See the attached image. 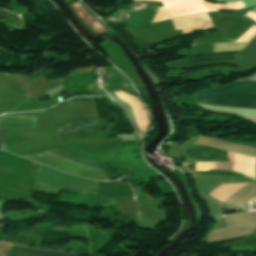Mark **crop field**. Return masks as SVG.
Returning <instances> with one entry per match:
<instances>
[{"label":"crop field","mask_w":256,"mask_h":256,"mask_svg":"<svg viewBox=\"0 0 256 256\" xmlns=\"http://www.w3.org/2000/svg\"><path fill=\"white\" fill-rule=\"evenodd\" d=\"M43 154L49 155L51 157L66 161L68 163L97 172L99 174L105 175L102 169L100 168L99 164L95 160H92L80 155H76L58 148H55ZM43 154L34 155V156H22V157L45 164L47 166L53 167L55 169L61 170L71 175L92 178V179H108L105 176L82 169L80 167L68 164L66 162L51 158Z\"/></svg>","instance_id":"1"},{"label":"crop field","mask_w":256,"mask_h":256,"mask_svg":"<svg viewBox=\"0 0 256 256\" xmlns=\"http://www.w3.org/2000/svg\"><path fill=\"white\" fill-rule=\"evenodd\" d=\"M199 103L256 108V82L239 81L231 85L194 94Z\"/></svg>","instance_id":"2"},{"label":"crop field","mask_w":256,"mask_h":256,"mask_svg":"<svg viewBox=\"0 0 256 256\" xmlns=\"http://www.w3.org/2000/svg\"><path fill=\"white\" fill-rule=\"evenodd\" d=\"M222 219L225 228L211 230L207 236L208 241L245 236L256 228V213L225 216Z\"/></svg>","instance_id":"3"},{"label":"crop field","mask_w":256,"mask_h":256,"mask_svg":"<svg viewBox=\"0 0 256 256\" xmlns=\"http://www.w3.org/2000/svg\"><path fill=\"white\" fill-rule=\"evenodd\" d=\"M35 181L49 186H65L99 190L94 181L77 178L40 165Z\"/></svg>","instance_id":"4"},{"label":"crop field","mask_w":256,"mask_h":256,"mask_svg":"<svg viewBox=\"0 0 256 256\" xmlns=\"http://www.w3.org/2000/svg\"><path fill=\"white\" fill-rule=\"evenodd\" d=\"M172 22L176 29H182L184 34L213 27L207 13L173 19Z\"/></svg>","instance_id":"5"},{"label":"crop field","mask_w":256,"mask_h":256,"mask_svg":"<svg viewBox=\"0 0 256 256\" xmlns=\"http://www.w3.org/2000/svg\"><path fill=\"white\" fill-rule=\"evenodd\" d=\"M192 144H202L206 146H211L215 148H220V149L256 157V149L229 143L223 140H216L208 137L199 136L196 140L193 141Z\"/></svg>","instance_id":"6"},{"label":"crop field","mask_w":256,"mask_h":256,"mask_svg":"<svg viewBox=\"0 0 256 256\" xmlns=\"http://www.w3.org/2000/svg\"><path fill=\"white\" fill-rule=\"evenodd\" d=\"M218 162H199L195 163L196 171H206L209 168H215ZM210 170H229L234 172H239L247 175L254 176V168L236 164L234 162H219L216 169Z\"/></svg>","instance_id":"7"},{"label":"crop field","mask_w":256,"mask_h":256,"mask_svg":"<svg viewBox=\"0 0 256 256\" xmlns=\"http://www.w3.org/2000/svg\"><path fill=\"white\" fill-rule=\"evenodd\" d=\"M256 35V26L253 25L235 42L213 44L214 52L241 50Z\"/></svg>","instance_id":"8"},{"label":"crop field","mask_w":256,"mask_h":256,"mask_svg":"<svg viewBox=\"0 0 256 256\" xmlns=\"http://www.w3.org/2000/svg\"><path fill=\"white\" fill-rule=\"evenodd\" d=\"M255 195L256 181L253 180L223 203L239 208L251 198H253Z\"/></svg>","instance_id":"9"},{"label":"crop field","mask_w":256,"mask_h":256,"mask_svg":"<svg viewBox=\"0 0 256 256\" xmlns=\"http://www.w3.org/2000/svg\"><path fill=\"white\" fill-rule=\"evenodd\" d=\"M34 125L35 118L4 115L0 119V129H7L10 127H34Z\"/></svg>","instance_id":"10"},{"label":"crop field","mask_w":256,"mask_h":256,"mask_svg":"<svg viewBox=\"0 0 256 256\" xmlns=\"http://www.w3.org/2000/svg\"><path fill=\"white\" fill-rule=\"evenodd\" d=\"M249 182H225L211 192L221 203Z\"/></svg>","instance_id":"11"},{"label":"crop field","mask_w":256,"mask_h":256,"mask_svg":"<svg viewBox=\"0 0 256 256\" xmlns=\"http://www.w3.org/2000/svg\"><path fill=\"white\" fill-rule=\"evenodd\" d=\"M13 253L23 255V256H76L68 252L41 251V250H34L30 248L17 247V246H15Z\"/></svg>","instance_id":"12"},{"label":"crop field","mask_w":256,"mask_h":256,"mask_svg":"<svg viewBox=\"0 0 256 256\" xmlns=\"http://www.w3.org/2000/svg\"><path fill=\"white\" fill-rule=\"evenodd\" d=\"M239 51L234 52H222V53H216L201 57H195V58H189L188 60L192 64L196 63H203V62H212V61H222V60H230L235 59V57L238 55Z\"/></svg>","instance_id":"13"},{"label":"crop field","mask_w":256,"mask_h":256,"mask_svg":"<svg viewBox=\"0 0 256 256\" xmlns=\"http://www.w3.org/2000/svg\"><path fill=\"white\" fill-rule=\"evenodd\" d=\"M71 7L76 12L78 17L87 24L94 32L104 31L105 29L98 24L85 10H83L77 3L71 4Z\"/></svg>","instance_id":"14"},{"label":"crop field","mask_w":256,"mask_h":256,"mask_svg":"<svg viewBox=\"0 0 256 256\" xmlns=\"http://www.w3.org/2000/svg\"><path fill=\"white\" fill-rule=\"evenodd\" d=\"M157 223H158V221L153 220V219L145 216L144 214L138 212V227L151 228L154 230Z\"/></svg>","instance_id":"15"},{"label":"crop field","mask_w":256,"mask_h":256,"mask_svg":"<svg viewBox=\"0 0 256 256\" xmlns=\"http://www.w3.org/2000/svg\"><path fill=\"white\" fill-rule=\"evenodd\" d=\"M228 160L229 161H237V162H241V163H245V164H249V165L254 166L256 159L252 158V157H248V156L239 155V154L229 152Z\"/></svg>","instance_id":"16"},{"label":"crop field","mask_w":256,"mask_h":256,"mask_svg":"<svg viewBox=\"0 0 256 256\" xmlns=\"http://www.w3.org/2000/svg\"><path fill=\"white\" fill-rule=\"evenodd\" d=\"M0 16L8 18V19H14L15 15L14 14H10L8 12L2 11L0 10Z\"/></svg>","instance_id":"17"},{"label":"crop field","mask_w":256,"mask_h":256,"mask_svg":"<svg viewBox=\"0 0 256 256\" xmlns=\"http://www.w3.org/2000/svg\"><path fill=\"white\" fill-rule=\"evenodd\" d=\"M6 132L7 131H5V130H0V149L2 148Z\"/></svg>","instance_id":"18"},{"label":"crop field","mask_w":256,"mask_h":256,"mask_svg":"<svg viewBox=\"0 0 256 256\" xmlns=\"http://www.w3.org/2000/svg\"><path fill=\"white\" fill-rule=\"evenodd\" d=\"M8 252L0 250V256H7Z\"/></svg>","instance_id":"19"},{"label":"crop field","mask_w":256,"mask_h":256,"mask_svg":"<svg viewBox=\"0 0 256 256\" xmlns=\"http://www.w3.org/2000/svg\"><path fill=\"white\" fill-rule=\"evenodd\" d=\"M251 11H253V12H255L256 13V8H254L253 10H251Z\"/></svg>","instance_id":"20"}]
</instances>
